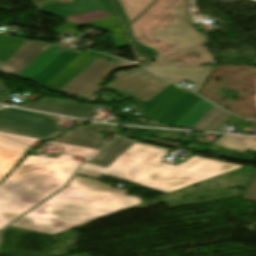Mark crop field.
I'll return each mask as SVG.
<instances>
[{
    "label": "crop field",
    "mask_w": 256,
    "mask_h": 256,
    "mask_svg": "<svg viewBox=\"0 0 256 256\" xmlns=\"http://www.w3.org/2000/svg\"><path fill=\"white\" fill-rule=\"evenodd\" d=\"M156 73L178 83L182 80L193 82L190 89L196 93L207 79L214 67H188V66H145Z\"/></svg>",
    "instance_id": "3316defc"
},
{
    "label": "crop field",
    "mask_w": 256,
    "mask_h": 256,
    "mask_svg": "<svg viewBox=\"0 0 256 256\" xmlns=\"http://www.w3.org/2000/svg\"><path fill=\"white\" fill-rule=\"evenodd\" d=\"M49 117L7 108L0 111V131L50 140L68 130L61 128L58 120Z\"/></svg>",
    "instance_id": "d8731c3e"
},
{
    "label": "crop field",
    "mask_w": 256,
    "mask_h": 256,
    "mask_svg": "<svg viewBox=\"0 0 256 256\" xmlns=\"http://www.w3.org/2000/svg\"><path fill=\"white\" fill-rule=\"evenodd\" d=\"M47 144L56 146L57 149L60 151V153H65V154L94 157L98 152H100L99 150H93V149L61 144V143H56L51 141L47 142Z\"/></svg>",
    "instance_id": "bc2a9ffb"
},
{
    "label": "crop field",
    "mask_w": 256,
    "mask_h": 256,
    "mask_svg": "<svg viewBox=\"0 0 256 256\" xmlns=\"http://www.w3.org/2000/svg\"><path fill=\"white\" fill-rule=\"evenodd\" d=\"M214 60L208 52L207 48L202 47L190 51L183 52L181 54L164 58L161 60L150 62L146 65H189L200 66Z\"/></svg>",
    "instance_id": "22f410ed"
},
{
    "label": "crop field",
    "mask_w": 256,
    "mask_h": 256,
    "mask_svg": "<svg viewBox=\"0 0 256 256\" xmlns=\"http://www.w3.org/2000/svg\"><path fill=\"white\" fill-rule=\"evenodd\" d=\"M99 181L75 176L70 184L12 226L31 230L47 225L57 216L96 219L141 203Z\"/></svg>",
    "instance_id": "f4fd0767"
},
{
    "label": "crop field",
    "mask_w": 256,
    "mask_h": 256,
    "mask_svg": "<svg viewBox=\"0 0 256 256\" xmlns=\"http://www.w3.org/2000/svg\"><path fill=\"white\" fill-rule=\"evenodd\" d=\"M5 90H7V89L5 88V86L3 85V83L0 80V93L5 91ZM7 99H9V98L0 94V102L6 101Z\"/></svg>",
    "instance_id": "4177f3b9"
},
{
    "label": "crop field",
    "mask_w": 256,
    "mask_h": 256,
    "mask_svg": "<svg viewBox=\"0 0 256 256\" xmlns=\"http://www.w3.org/2000/svg\"><path fill=\"white\" fill-rule=\"evenodd\" d=\"M77 174L86 175L94 178H99L101 176L100 174H97L88 170H83V169H80V171Z\"/></svg>",
    "instance_id": "a9b5d70f"
},
{
    "label": "crop field",
    "mask_w": 256,
    "mask_h": 256,
    "mask_svg": "<svg viewBox=\"0 0 256 256\" xmlns=\"http://www.w3.org/2000/svg\"><path fill=\"white\" fill-rule=\"evenodd\" d=\"M81 163L64 154L58 159L28 156L0 184V229L65 185Z\"/></svg>",
    "instance_id": "412701ff"
},
{
    "label": "crop field",
    "mask_w": 256,
    "mask_h": 256,
    "mask_svg": "<svg viewBox=\"0 0 256 256\" xmlns=\"http://www.w3.org/2000/svg\"><path fill=\"white\" fill-rule=\"evenodd\" d=\"M137 130L141 131V130H146V129L135 128V132L140 133ZM149 133L160 134V135L165 136L168 139H178L181 132L167 131V130H150Z\"/></svg>",
    "instance_id": "214f88e0"
},
{
    "label": "crop field",
    "mask_w": 256,
    "mask_h": 256,
    "mask_svg": "<svg viewBox=\"0 0 256 256\" xmlns=\"http://www.w3.org/2000/svg\"><path fill=\"white\" fill-rule=\"evenodd\" d=\"M88 221L91 220L58 217L47 226H38L33 230L54 235L56 233L62 232L64 230H67L69 228L75 227Z\"/></svg>",
    "instance_id": "d9b57169"
},
{
    "label": "crop field",
    "mask_w": 256,
    "mask_h": 256,
    "mask_svg": "<svg viewBox=\"0 0 256 256\" xmlns=\"http://www.w3.org/2000/svg\"><path fill=\"white\" fill-rule=\"evenodd\" d=\"M217 144L245 152L247 149L256 151V138L240 137V136H223Z\"/></svg>",
    "instance_id": "733c2abd"
},
{
    "label": "crop field",
    "mask_w": 256,
    "mask_h": 256,
    "mask_svg": "<svg viewBox=\"0 0 256 256\" xmlns=\"http://www.w3.org/2000/svg\"><path fill=\"white\" fill-rule=\"evenodd\" d=\"M104 87L132 96L143 115L167 125L217 131L231 116L143 68L118 72Z\"/></svg>",
    "instance_id": "ac0d7876"
},
{
    "label": "crop field",
    "mask_w": 256,
    "mask_h": 256,
    "mask_svg": "<svg viewBox=\"0 0 256 256\" xmlns=\"http://www.w3.org/2000/svg\"><path fill=\"white\" fill-rule=\"evenodd\" d=\"M29 147L0 136V181L23 158Z\"/></svg>",
    "instance_id": "d1516ede"
},
{
    "label": "crop field",
    "mask_w": 256,
    "mask_h": 256,
    "mask_svg": "<svg viewBox=\"0 0 256 256\" xmlns=\"http://www.w3.org/2000/svg\"><path fill=\"white\" fill-rule=\"evenodd\" d=\"M101 137H102V135H101V134H99V135H98V138H97V140H96V141H98V142H102V143H106V144H109L108 142H105V141L100 140V139H101Z\"/></svg>",
    "instance_id": "730fd06b"
},
{
    "label": "crop field",
    "mask_w": 256,
    "mask_h": 256,
    "mask_svg": "<svg viewBox=\"0 0 256 256\" xmlns=\"http://www.w3.org/2000/svg\"><path fill=\"white\" fill-rule=\"evenodd\" d=\"M66 24L54 31L57 35H73L83 25L110 31L117 48L127 47L129 43L115 15L101 9L65 17Z\"/></svg>",
    "instance_id": "5a996713"
},
{
    "label": "crop field",
    "mask_w": 256,
    "mask_h": 256,
    "mask_svg": "<svg viewBox=\"0 0 256 256\" xmlns=\"http://www.w3.org/2000/svg\"><path fill=\"white\" fill-rule=\"evenodd\" d=\"M242 199L256 202V176Z\"/></svg>",
    "instance_id": "92a150f3"
},
{
    "label": "crop field",
    "mask_w": 256,
    "mask_h": 256,
    "mask_svg": "<svg viewBox=\"0 0 256 256\" xmlns=\"http://www.w3.org/2000/svg\"><path fill=\"white\" fill-rule=\"evenodd\" d=\"M1 134L11 137V138H13L19 142H22L28 146H30L35 141L39 140V139H34V138H28V137H23V136H18V135L7 134V133H1Z\"/></svg>",
    "instance_id": "dafd665d"
},
{
    "label": "crop field",
    "mask_w": 256,
    "mask_h": 256,
    "mask_svg": "<svg viewBox=\"0 0 256 256\" xmlns=\"http://www.w3.org/2000/svg\"><path fill=\"white\" fill-rule=\"evenodd\" d=\"M169 152L135 143L106 168L88 163L82 168L169 193L243 167L197 156L177 166L160 164Z\"/></svg>",
    "instance_id": "34b2d1b8"
},
{
    "label": "crop field",
    "mask_w": 256,
    "mask_h": 256,
    "mask_svg": "<svg viewBox=\"0 0 256 256\" xmlns=\"http://www.w3.org/2000/svg\"><path fill=\"white\" fill-rule=\"evenodd\" d=\"M89 126L94 127L96 130L100 131V132H109L112 128V126L110 125H102V124H95V123H90L88 124Z\"/></svg>",
    "instance_id": "00972430"
},
{
    "label": "crop field",
    "mask_w": 256,
    "mask_h": 256,
    "mask_svg": "<svg viewBox=\"0 0 256 256\" xmlns=\"http://www.w3.org/2000/svg\"><path fill=\"white\" fill-rule=\"evenodd\" d=\"M192 0H156L130 27L138 42L157 50L164 57L203 44L185 10Z\"/></svg>",
    "instance_id": "dd49c442"
},
{
    "label": "crop field",
    "mask_w": 256,
    "mask_h": 256,
    "mask_svg": "<svg viewBox=\"0 0 256 256\" xmlns=\"http://www.w3.org/2000/svg\"><path fill=\"white\" fill-rule=\"evenodd\" d=\"M153 0H58L54 2L40 4L41 12L64 17L96 8H101L108 12H117L123 28L132 45L133 52L137 59L151 58L154 51L144 48L132 40L127 24L137 17Z\"/></svg>",
    "instance_id": "e52e79f7"
},
{
    "label": "crop field",
    "mask_w": 256,
    "mask_h": 256,
    "mask_svg": "<svg viewBox=\"0 0 256 256\" xmlns=\"http://www.w3.org/2000/svg\"><path fill=\"white\" fill-rule=\"evenodd\" d=\"M97 135L92 128L80 126L53 141L102 150L107 145L95 142Z\"/></svg>",
    "instance_id": "cbeb9de0"
},
{
    "label": "crop field",
    "mask_w": 256,
    "mask_h": 256,
    "mask_svg": "<svg viewBox=\"0 0 256 256\" xmlns=\"http://www.w3.org/2000/svg\"><path fill=\"white\" fill-rule=\"evenodd\" d=\"M24 41L25 39L0 35V58L7 59Z\"/></svg>",
    "instance_id": "4a817a6b"
},
{
    "label": "crop field",
    "mask_w": 256,
    "mask_h": 256,
    "mask_svg": "<svg viewBox=\"0 0 256 256\" xmlns=\"http://www.w3.org/2000/svg\"><path fill=\"white\" fill-rule=\"evenodd\" d=\"M34 3H37V2H41V1H45V0H33Z\"/></svg>",
    "instance_id": "ae1a2a85"
},
{
    "label": "crop field",
    "mask_w": 256,
    "mask_h": 256,
    "mask_svg": "<svg viewBox=\"0 0 256 256\" xmlns=\"http://www.w3.org/2000/svg\"><path fill=\"white\" fill-rule=\"evenodd\" d=\"M23 107H30L34 109L62 113L67 115L78 116L82 118H87L93 115L96 111L94 105H83L80 103L45 97L36 103L24 104Z\"/></svg>",
    "instance_id": "28ad6ade"
},
{
    "label": "crop field",
    "mask_w": 256,
    "mask_h": 256,
    "mask_svg": "<svg viewBox=\"0 0 256 256\" xmlns=\"http://www.w3.org/2000/svg\"><path fill=\"white\" fill-rule=\"evenodd\" d=\"M119 136H121V137H123V138H126V139L131 138V137H125V135H119Z\"/></svg>",
    "instance_id": "d3111659"
},
{
    "label": "crop field",
    "mask_w": 256,
    "mask_h": 256,
    "mask_svg": "<svg viewBox=\"0 0 256 256\" xmlns=\"http://www.w3.org/2000/svg\"><path fill=\"white\" fill-rule=\"evenodd\" d=\"M132 144H134V142L118 137L109 148L100 154L94 161L88 163L106 167Z\"/></svg>",
    "instance_id": "5142ce71"
},
{
    "label": "crop field",
    "mask_w": 256,
    "mask_h": 256,
    "mask_svg": "<svg viewBox=\"0 0 256 256\" xmlns=\"http://www.w3.org/2000/svg\"><path fill=\"white\" fill-rule=\"evenodd\" d=\"M109 58L112 57L93 51L77 52L27 41L6 60L0 72L33 81L48 90L87 99L101 89L94 85L108 71L133 65L121 60L112 64L107 61Z\"/></svg>",
    "instance_id": "8a807250"
},
{
    "label": "crop field",
    "mask_w": 256,
    "mask_h": 256,
    "mask_svg": "<svg viewBox=\"0 0 256 256\" xmlns=\"http://www.w3.org/2000/svg\"><path fill=\"white\" fill-rule=\"evenodd\" d=\"M115 130H116V133H124V132H120L121 130H119V129H115ZM128 132L132 133V127H129V131Z\"/></svg>",
    "instance_id": "eef30255"
}]
</instances>
